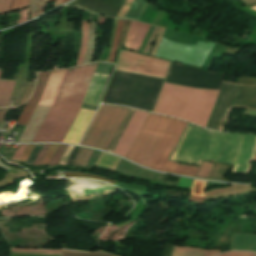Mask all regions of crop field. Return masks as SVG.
<instances>
[{"mask_svg":"<svg viewBox=\"0 0 256 256\" xmlns=\"http://www.w3.org/2000/svg\"><path fill=\"white\" fill-rule=\"evenodd\" d=\"M256 137L187 127L172 159L197 164L201 160L234 164L236 172L249 173Z\"/></svg>","mask_w":256,"mask_h":256,"instance_id":"1","label":"crop field"},{"mask_svg":"<svg viewBox=\"0 0 256 256\" xmlns=\"http://www.w3.org/2000/svg\"><path fill=\"white\" fill-rule=\"evenodd\" d=\"M187 123L148 113L126 158L149 168L195 176L196 166L168 161Z\"/></svg>","mask_w":256,"mask_h":256,"instance_id":"2","label":"crop field"},{"mask_svg":"<svg viewBox=\"0 0 256 256\" xmlns=\"http://www.w3.org/2000/svg\"><path fill=\"white\" fill-rule=\"evenodd\" d=\"M95 64L67 69L56 99L33 142H61L76 116Z\"/></svg>","mask_w":256,"mask_h":256,"instance_id":"3","label":"crop field"},{"mask_svg":"<svg viewBox=\"0 0 256 256\" xmlns=\"http://www.w3.org/2000/svg\"><path fill=\"white\" fill-rule=\"evenodd\" d=\"M218 91L165 83L154 112L204 127Z\"/></svg>","mask_w":256,"mask_h":256,"instance_id":"4","label":"crop field"},{"mask_svg":"<svg viewBox=\"0 0 256 256\" xmlns=\"http://www.w3.org/2000/svg\"><path fill=\"white\" fill-rule=\"evenodd\" d=\"M127 108L101 105L80 144L106 150Z\"/></svg>","mask_w":256,"mask_h":256,"instance_id":"5","label":"crop field"},{"mask_svg":"<svg viewBox=\"0 0 256 256\" xmlns=\"http://www.w3.org/2000/svg\"><path fill=\"white\" fill-rule=\"evenodd\" d=\"M170 63L139 53L119 50L115 70L164 79Z\"/></svg>","mask_w":256,"mask_h":256,"instance_id":"6","label":"crop field"},{"mask_svg":"<svg viewBox=\"0 0 256 256\" xmlns=\"http://www.w3.org/2000/svg\"><path fill=\"white\" fill-rule=\"evenodd\" d=\"M213 44L198 41L196 46H192L162 38L155 56L201 67Z\"/></svg>","mask_w":256,"mask_h":256,"instance_id":"7","label":"crop field"},{"mask_svg":"<svg viewBox=\"0 0 256 256\" xmlns=\"http://www.w3.org/2000/svg\"><path fill=\"white\" fill-rule=\"evenodd\" d=\"M65 70L66 69L55 70L51 72L43 96L32 117L30 118L27 126L25 127L23 133L21 134L18 142H32L36 132L38 131L41 123L43 122L47 112L49 111L55 99Z\"/></svg>","mask_w":256,"mask_h":256,"instance_id":"8","label":"crop field"},{"mask_svg":"<svg viewBox=\"0 0 256 256\" xmlns=\"http://www.w3.org/2000/svg\"><path fill=\"white\" fill-rule=\"evenodd\" d=\"M112 66L113 65L98 63L94 73L109 75ZM108 77L109 76H105V75H97V74L93 75L88 91L86 93L85 99L83 101L84 103L97 106ZM84 103L82 104L81 107L93 109V110L96 109V106H92Z\"/></svg>","mask_w":256,"mask_h":256,"instance_id":"9","label":"crop field"},{"mask_svg":"<svg viewBox=\"0 0 256 256\" xmlns=\"http://www.w3.org/2000/svg\"><path fill=\"white\" fill-rule=\"evenodd\" d=\"M125 0H76L68 6L79 7L93 13L116 17Z\"/></svg>","mask_w":256,"mask_h":256,"instance_id":"10","label":"crop field"},{"mask_svg":"<svg viewBox=\"0 0 256 256\" xmlns=\"http://www.w3.org/2000/svg\"><path fill=\"white\" fill-rule=\"evenodd\" d=\"M147 113L135 110L113 153L125 157Z\"/></svg>","mask_w":256,"mask_h":256,"instance_id":"11","label":"crop field"},{"mask_svg":"<svg viewBox=\"0 0 256 256\" xmlns=\"http://www.w3.org/2000/svg\"><path fill=\"white\" fill-rule=\"evenodd\" d=\"M93 113V110L80 108L63 142H71L78 144Z\"/></svg>","mask_w":256,"mask_h":256,"instance_id":"12","label":"crop field"},{"mask_svg":"<svg viewBox=\"0 0 256 256\" xmlns=\"http://www.w3.org/2000/svg\"><path fill=\"white\" fill-rule=\"evenodd\" d=\"M48 77H49V74L39 75L36 89L32 97L28 101V103L25 105L16 124L24 125V126L27 124L29 118L31 117L34 109L36 108L42 96Z\"/></svg>","mask_w":256,"mask_h":256,"instance_id":"13","label":"crop field"},{"mask_svg":"<svg viewBox=\"0 0 256 256\" xmlns=\"http://www.w3.org/2000/svg\"><path fill=\"white\" fill-rule=\"evenodd\" d=\"M149 28V25L131 21L126 35L124 47L138 51Z\"/></svg>","mask_w":256,"mask_h":256,"instance_id":"14","label":"crop field"},{"mask_svg":"<svg viewBox=\"0 0 256 256\" xmlns=\"http://www.w3.org/2000/svg\"><path fill=\"white\" fill-rule=\"evenodd\" d=\"M232 250L256 251V236L234 233Z\"/></svg>","mask_w":256,"mask_h":256,"instance_id":"15","label":"crop field"},{"mask_svg":"<svg viewBox=\"0 0 256 256\" xmlns=\"http://www.w3.org/2000/svg\"><path fill=\"white\" fill-rule=\"evenodd\" d=\"M218 253H219V250H202V249L174 246L172 256H213Z\"/></svg>","mask_w":256,"mask_h":256,"instance_id":"16","label":"crop field"},{"mask_svg":"<svg viewBox=\"0 0 256 256\" xmlns=\"http://www.w3.org/2000/svg\"><path fill=\"white\" fill-rule=\"evenodd\" d=\"M1 77V69H0ZM16 81L0 79V107L8 105Z\"/></svg>","mask_w":256,"mask_h":256,"instance_id":"17","label":"crop field"},{"mask_svg":"<svg viewBox=\"0 0 256 256\" xmlns=\"http://www.w3.org/2000/svg\"><path fill=\"white\" fill-rule=\"evenodd\" d=\"M13 3L14 0H0V14L9 12L12 8ZM29 3L30 0H15L12 10L27 7Z\"/></svg>","mask_w":256,"mask_h":256,"instance_id":"18","label":"crop field"},{"mask_svg":"<svg viewBox=\"0 0 256 256\" xmlns=\"http://www.w3.org/2000/svg\"><path fill=\"white\" fill-rule=\"evenodd\" d=\"M95 24L96 22H89L88 43L83 64L91 62L94 50Z\"/></svg>","mask_w":256,"mask_h":256,"instance_id":"19","label":"crop field"},{"mask_svg":"<svg viewBox=\"0 0 256 256\" xmlns=\"http://www.w3.org/2000/svg\"><path fill=\"white\" fill-rule=\"evenodd\" d=\"M87 32H88V22L82 21V45L80 48L76 65L82 64L83 62V58L86 50V43H87Z\"/></svg>","mask_w":256,"mask_h":256,"instance_id":"20","label":"crop field"},{"mask_svg":"<svg viewBox=\"0 0 256 256\" xmlns=\"http://www.w3.org/2000/svg\"><path fill=\"white\" fill-rule=\"evenodd\" d=\"M118 161H119V158L103 153L100 160L97 163V166L114 170Z\"/></svg>","mask_w":256,"mask_h":256,"instance_id":"21","label":"crop field"},{"mask_svg":"<svg viewBox=\"0 0 256 256\" xmlns=\"http://www.w3.org/2000/svg\"><path fill=\"white\" fill-rule=\"evenodd\" d=\"M47 0H32L30 4V19L43 13Z\"/></svg>","mask_w":256,"mask_h":256,"instance_id":"22","label":"crop field"},{"mask_svg":"<svg viewBox=\"0 0 256 256\" xmlns=\"http://www.w3.org/2000/svg\"><path fill=\"white\" fill-rule=\"evenodd\" d=\"M81 149V148H80ZM80 151V150H79ZM93 150H90V149H84L82 148L74 165L75 166H81V167H85L91 154H92Z\"/></svg>","mask_w":256,"mask_h":256,"instance_id":"23","label":"crop field"},{"mask_svg":"<svg viewBox=\"0 0 256 256\" xmlns=\"http://www.w3.org/2000/svg\"><path fill=\"white\" fill-rule=\"evenodd\" d=\"M206 182L194 180L191 186V195L204 197Z\"/></svg>","mask_w":256,"mask_h":256,"instance_id":"24","label":"crop field"},{"mask_svg":"<svg viewBox=\"0 0 256 256\" xmlns=\"http://www.w3.org/2000/svg\"><path fill=\"white\" fill-rule=\"evenodd\" d=\"M61 256H113V255H105V254H97V253H89V252H81V251L62 250Z\"/></svg>","mask_w":256,"mask_h":256,"instance_id":"25","label":"crop field"},{"mask_svg":"<svg viewBox=\"0 0 256 256\" xmlns=\"http://www.w3.org/2000/svg\"><path fill=\"white\" fill-rule=\"evenodd\" d=\"M64 177H90V178H94V179H98V180L107 181V182L112 183V184L115 183V182H113L109 179L98 177V176L91 175V174H85V173L65 172Z\"/></svg>","mask_w":256,"mask_h":256,"instance_id":"26","label":"crop field"},{"mask_svg":"<svg viewBox=\"0 0 256 256\" xmlns=\"http://www.w3.org/2000/svg\"><path fill=\"white\" fill-rule=\"evenodd\" d=\"M212 166H213V164H211V163L202 162L196 177L207 178L209 173H210V170H211Z\"/></svg>","mask_w":256,"mask_h":256,"instance_id":"27","label":"crop field"},{"mask_svg":"<svg viewBox=\"0 0 256 256\" xmlns=\"http://www.w3.org/2000/svg\"><path fill=\"white\" fill-rule=\"evenodd\" d=\"M122 22L123 21H119L118 25H117V28H116V32H115V36H114L113 49H112V53H111L110 60H109V62H111V63H113V61H114L115 53H116V50H117L118 37H119L120 30H121Z\"/></svg>","mask_w":256,"mask_h":256,"instance_id":"28","label":"crop field"},{"mask_svg":"<svg viewBox=\"0 0 256 256\" xmlns=\"http://www.w3.org/2000/svg\"><path fill=\"white\" fill-rule=\"evenodd\" d=\"M119 187L130 191V192H134V193H138V194H142L144 193V186H140V185H129V184H119Z\"/></svg>","mask_w":256,"mask_h":256,"instance_id":"29","label":"crop field"},{"mask_svg":"<svg viewBox=\"0 0 256 256\" xmlns=\"http://www.w3.org/2000/svg\"><path fill=\"white\" fill-rule=\"evenodd\" d=\"M67 145H60L57 152L53 155L52 159L50 160L48 165H58V162L60 160V157L62 156L65 148Z\"/></svg>","mask_w":256,"mask_h":256,"instance_id":"30","label":"crop field"},{"mask_svg":"<svg viewBox=\"0 0 256 256\" xmlns=\"http://www.w3.org/2000/svg\"><path fill=\"white\" fill-rule=\"evenodd\" d=\"M159 28L155 27L142 53L148 54Z\"/></svg>","mask_w":256,"mask_h":256,"instance_id":"31","label":"crop field"},{"mask_svg":"<svg viewBox=\"0 0 256 256\" xmlns=\"http://www.w3.org/2000/svg\"><path fill=\"white\" fill-rule=\"evenodd\" d=\"M43 144L41 145H36V147L34 148L33 152L31 153V155L29 156L28 160H27V164H31L33 165L37 155L39 154L41 148H42Z\"/></svg>","mask_w":256,"mask_h":256,"instance_id":"32","label":"crop field"},{"mask_svg":"<svg viewBox=\"0 0 256 256\" xmlns=\"http://www.w3.org/2000/svg\"><path fill=\"white\" fill-rule=\"evenodd\" d=\"M233 190L232 187H227V188H221V189H215V190H211V191H207L205 192V197H209V196H213L219 193H223V192H227V191H231Z\"/></svg>","mask_w":256,"mask_h":256,"instance_id":"33","label":"crop field"},{"mask_svg":"<svg viewBox=\"0 0 256 256\" xmlns=\"http://www.w3.org/2000/svg\"><path fill=\"white\" fill-rule=\"evenodd\" d=\"M58 147H59V145H54V144L51 145V147H50V149H49L47 155L45 156V158H44V160H43L41 165L48 164L51 156L53 155V153L56 151V149Z\"/></svg>","mask_w":256,"mask_h":256,"instance_id":"34","label":"crop field"},{"mask_svg":"<svg viewBox=\"0 0 256 256\" xmlns=\"http://www.w3.org/2000/svg\"><path fill=\"white\" fill-rule=\"evenodd\" d=\"M50 147V145H44L43 149L41 150L40 154L38 155L34 165H40L48 148Z\"/></svg>","mask_w":256,"mask_h":256,"instance_id":"35","label":"crop field"},{"mask_svg":"<svg viewBox=\"0 0 256 256\" xmlns=\"http://www.w3.org/2000/svg\"><path fill=\"white\" fill-rule=\"evenodd\" d=\"M192 181V179L180 178L177 187L189 189Z\"/></svg>","mask_w":256,"mask_h":256,"instance_id":"36","label":"crop field"},{"mask_svg":"<svg viewBox=\"0 0 256 256\" xmlns=\"http://www.w3.org/2000/svg\"><path fill=\"white\" fill-rule=\"evenodd\" d=\"M219 256H254V253L250 252H227Z\"/></svg>","mask_w":256,"mask_h":256,"instance_id":"37","label":"crop field"},{"mask_svg":"<svg viewBox=\"0 0 256 256\" xmlns=\"http://www.w3.org/2000/svg\"><path fill=\"white\" fill-rule=\"evenodd\" d=\"M34 147H35V145H28L27 149L25 150L24 154L21 156V158L19 160L25 162Z\"/></svg>","mask_w":256,"mask_h":256,"instance_id":"38","label":"crop field"},{"mask_svg":"<svg viewBox=\"0 0 256 256\" xmlns=\"http://www.w3.org/2000/svg\"><path fill=\"white\" fill-rule=\"evenodd\" d=\"M72 148H73V146H71V145L67 146V149L60 160V165H65L66 159H67L68 155L70 154Z\"/></svg>","mask_w":256,"mask_h":256,"instance_id":"39","label":"crop field"},{"mask_svg":"<svg viewBox=\"0 0 256 256\" xmlns=\"http://www.w3.org/2000/svg\"><path fill=\"white\" fill-rule=\"evenodd\" d=\"M27 145H20L15 155L12 159L18 160L19 157L23 154L24 150L26 149Z\"/></svg>","mask_w":256,"mask_h":256,"instance_id":"40","label":"crop field"},{"mask_svg":"<svg viewBox=\"0 0 256 256\" xmlns=\"http://www.w3.org/2000/svg\"><path fill=\"white\" fill-rule=\"evenodd\" d=\"M9 110L10 108L0 109V122L2 121V119L5 117V115L8 113Z\"/></svg>","mask_w":256,"mask_h":256,"instance_id":"41","label":"crop field"},{"mask_svg":"<svg viewBox=\"0 0 256 256\" xmlns=\"http://www.w3.org/2000/svg\"><path fill=\"white\" fill-rule=\"evenodd\" d=\"M12 250H20V251H36V252H52V253H60L61 251H45V250H22V249H12Z\"/></svg>","mask_w":256,"mask_h":256,"instance_id":"42","label":"crop field"},{"mask_svg":"<svg viewBox=\"0 0 256 256\" xmlns=\"http://www.w3.org/2000/svg\"><path fill=\"white\" fill-rule=\"evenodd\" d=\"M205 199H206V198H199V197H193V196H191L189 200L201 203V202L204 201Z\"/></svg>","mask_w":256,"mask_h":256,"instance_id":"43","label":"crop field"},{"mask_svg":"<svg viewBox=\"0 0 256 256\" xmlns=\"http://www.w3.org/2000/svg\"><path fill=\"white\" fill-rule=\"evenodd\" d=\"M247 6L256 2V0H242Z\"/></svg>","mask_w":256,"mask_h":256,"instance_id":"44","label":"crop field"},{"mask_svg":"<svg viewBox=\"0 0 256 256\" xmlns=\"http://www.w3.org/2000/svg\"><path fill=\"white\" fill-rule=\"evenodd\" d=\"M60 3H61V0H56L55 7L60 5Z\"/></svg>","mask_w":256,"mask_h":256,"instance_id":"45","label":"crop field"},{"mask_svg":"<svg viewBox=\"0 0 256 256\" xmlns=\"http://www.w3.org/2000/svg\"><path fill=\"white\" fill-rule=\"evenodd\" d=\"M239 84H241V83H239ZM242 85H252V84H242ZM253 86H256V85H253ZM235 108H243V107H235ZM246 109H250V108H246ZM252 110H254V109H252Z\"/></svg>","mask_w":256,"mask_h":256,"instance_id":"46","label":"crop field"},{"mask_svg":"<svg viewBox=\"0 0 256 256\" xmlns=\"http://www.w3.org/2000/svg\"><path fill=\"white\" fill-rule=\"evenodd\" d=\"M67 1H69V0H62V3H61V4L65 3V2H67Z\"/></svg>","mask_w":256,"mask_h":256,"instance_id":"47","label":"crop field"},{"mask_svg":"<svg viewBox=\"0 0 256 256\" xmlns=\"http://www.w3.org/2000/svg\"><path fill=\"white\" fill-rule=\"evenodd\" d=\"M224 82H227V81H224ZM227 83H235V82H227ZM235 84H238V83H235Z\"/></svg>","mask_w":256,"mask_h":256,"instance_id":"48","label":"crop field"},{"mask_svg":"<svg viewBox=\"0 0 256 256\" xmlns=\"http://www.w3.org/2000/svg\"><path fill=\"white\" fill-rule=\"evenodd\" d=\"M9 162H11V163H13V164H16V165L18 164V163H16V162H12V161H9Z\"/></svg>","mask_w":256,"mask_h":256,"instance_id":"49","label":"crop field"},{"mask_svg":"<svg viewBox=\"0 0 256 256\" xmlns=\"http://www.w3.org/2000/svg\"><path fill=\"white\" fill-rule=\"evenodd\" d=\"M253 161H256V153H255V157H254V160Z\"/></svg>","mask_w":256,"mask_h":256,"instance_id":"50","label":"crop field"},{"mask_svg":"<svg viewBox=\"0 0 256 256\" xmlns=\"http://www.w3.org/2000/svg\"><path fill=\"white\" fill-rule=\"evenodd\" d=\"M51 1H55V0H48L47 2H51Z\"/></svg>","mask_w":256,"mask_h":256,"instance_id":"51","label":"crop field"},{"mask_svg":"<svg viewBox=\"0 0 256 256\" xmlns=\"http://www.w3.org/2000/svg\"><path fill=\"white\" fill-rule=\"evenodd\" d=\"M253 9H256V6H255V7H253Z\"/></svg>","mask_w":256,"mask_h":256,"instance_id":"52","label":"crop field"},{"mask_svg":"<svg viewBox=\"0 0 256 256\" xmlns=\"http://www.w3.org/2000/svg\"><path fill=\"white\" fill-rule=\"evenodd\" d=\"M11 172V171H10ZM13 173H17V172H14V171H12Z\"/></svg>","mask_w":256,"mask_h":256,"instance_id":"53","label":"crop field"},{"mask_svg":"<svg viewBox=\"0 0 256 256\" xmlns=\"http://www.w3.org/2000/svg\"><path fill=\"white\" fill-rule=\"evenodd\" d=\"M255 256H256V253H255Z\"/></svg>","mask_w":256,"mask_h":256,"instance_id":"54","label":"crop field"}]
</instances>
